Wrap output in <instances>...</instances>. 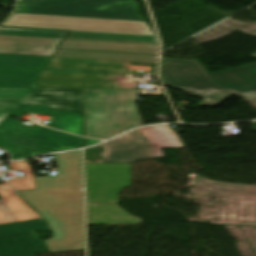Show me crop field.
<instances>
[{
  "label": "crop field",
  "mask_w": 256,
  "mask_h": 256,
  "mask_svg": "<svg viewBox=\"0 0 256 256\" xmlns=\"http://www.w3.org/2000/svg\"><path fill=\"white\" fill-rule=\"evenodd\" d=\"M56 156V177L36 178L37 190L18 192L50 226L49 252L85 250L82 151Z\"/></svg>",
  "instance_id": "obj_1"
},
{
  "label": "crop field",
  "mask_w": 256,
  "mask_h": 256,
  "mask_svg": "<svg viewBox=\"0 0 256 256\" xmlns=\"http://www.w3.org/2000/svg\"><path fill=\"white\" fill-rule=\"evenodd\" d=\"M197 61L162 58L161 78L165 86L202 97L199 105L212 108L234 94L256 97V63L207 75Z\"/></svg>",
  "instance_id": "obj_2"
},
{
  "label": "crop field",
  "mask_w": 256,
  "mask_h": 256,
  "mask_svg": "<svg viewBox=\"0 0 256 256\" xmlns=\"http://www.w3.org/2000/svg\"><path fill=\"white\" fill-rule=\"evenodd\" d=\"M138 89H84L85 134L107 139L141 126Z\"/></svg>",
  "instance_id": "obj_3"
},
{
  "label": "crop field",
  "mask_w": 256,
  "mask_h": 256,
  "mask_svg": "<svg viewBox=\"0 0 256 256\" xmlns=\"http://www.w3.org/2000/svg\"><path fill=\"white\" fill-rule=\"evenodd\" d=\"M50 230L43 218L8 185L0 186V256H36L48 252L34 231Z\"/></svg>",
  "instance_id": "obj_4"
},
{
  "label": "crop field",
  "mask_w": 256,
  "mask_h": 256,
  "mask_svg": "<svg viewBox=\"0 0 256 256\" xmlns=\"http://www.w3.org/2000/svg\"><path fill=\"white\" fill-rule=\"evenodd\" d=\"M161 148H183L168 126L143 128L105 144L104 163H134L165 157Z\"/></svg>",
  "instance_id": "obj_5"
},
{
  "label": "crop field",
  "mask_w": 256,
  "mask_h": 256,
  "mask_svg": "<svg viewBox=\"0 0 256 256\" xmlns=\"http://www.w3.org/2000/svg\"><path fill=\"white\" fill-rule=\"evenodd\" d=\"M2 25L153 35L146 22L56 17L14 13Z\"/></svg>",
  "instance_id": "obj_6"
},
{
  "label": "crop field",
  "mask_w": 256,
  "mask_h": 256,
  "mask_svg": "<svg viewBox=\"0 0 256 256\" xmlns=\"http://www.w3.org/2000/svg\"><path fill=\"white\" fill-rule=\"evenodd\" d=\"M15 12L144 21L134 0H81L49 8L17 3Z\"/></svg>",
  "instance_id": "obj_7"
},
{
  "label": "crop field",
  "mask_w": 256,
  "mask_h": 256,
  "mask_svg": "<svg viewBox=\"0 0 256 256\" xmlns=\"http://www.w3.org/2000/svg\"><path fill=\"white\" fill-rule=\"evenodd\" d=\"M36 89H0V123ZM26 102L82 114V90L38 89Z\"/></svg>",
  "instance_id": "obj_8"
},
{
  "label": "crop field",
  "mask_w": 256,
  "mask_h": 256,
  "mask_svg": "<svg viewBox=\"0 0 256 256\" xmlns=\"http://www.w3.org/2000/svg\"><path fill=\"white\" fill-rule=\"evenodd\" d=\"M127 187L130 164H87L88 203H118V194Z\"/></svg>",
  "instance_id": "obj_9"
},
{
  "label": "crop field",
  "mask_w": 256,
  "mask_h": 256,
  "mask_svg": "<svg viewBox=\"0 0 256 256\" xmlns=\"http://www.w3.org/2000/svg\"><path fill=\"white\" fill-rule=\"evenodd\" d=\"M50 57L0 54V88H36Z\"/></svg>",
  "instance_id": "obj_10"
},
{
  "label": "crop field",
  "mask_w": 256,
  "mask_h": 256,
  "mask_svg": "<svg viewBox=\"0 0 256 256\" xmlns=\"http://www.w3.org/2000/svg\"><path fill=\"white\" fill-rule=\"evenodd\" d=\"M0 128L22 131L25 134L46 143L56 151L84 147V140L82 137L62 133L41 126H24L21 125L19 121L9 117L4 120V122L0 125Z\"/></svg>",
  "instance_id": "obj_11"
},
{
  "label": "crop field",
  "mask_w": 256,
  "mask_h": 256,
  "mask_svg": "<svg viewBox=\"0 0 256 256\" xmlns=\"http://www.w3.org/2000/svg\"><path fill=\"white\" fill-rule=\"evenodd\" d=\"M26 111L51 116L53 118L49 125L50 127L83 136V116L82 115L22 102L10 114V116L20 118Z\"/></svg>",
  "instance_id": "obj_12"
},
{
  "label": "crop field",
  "mask_w": 256,
  "mask_h": 256,
  "mask_svg": "<svg viewBox=\"0 0 256 256\" xmlns=\"http://www.w3.org/2000/svg\"><path fill=\"white\" fill-rule=\"evenodd\" d=\"M61 41L0 35V53L52 56Z\"/></svg>",
  "instance_id": "obj_13"
},
{
  "label": "crop field",
  "mask_w": 256,
  "mask_h": 256,
  "mask_svg": "<svg viewBox=\"0 0 256 256\" xmlns=\"http://www.w3.org/2000/svg\"><path fill=\"white\" fill-rule=\"evenodd\" d=\"M0 146L10 151L13 159L54 151L46 144L16 130L0 129Z\"/></svg>",
  "instance_id": "obj_14"
},
{
  "label": "crop field",
  "mask_w": 256,
  "mask_h": 256,
  "mask_svg": "<svg viewBox=\"0 0 256 256\" xmlns=\"http://www.w3.org/2000/svg\"><path fill=\"white\" fill-rule=\"evenodd\" d=\"M141 220L117 204H88V225H140Z\"/></svg>",
  "instance_id": "obj_15"
},
{
  "label": "crop field",
  "mask_w": 256,
  "mask_h": 256,
  "mask_svg": "<svg viewBox=\"0 0 256 256\" xmlns=\"http://www.w3.org/2000/svg\"><path fill=\"white\" fill-rule=\"evenodd\" d=\"M59 49L134 52L152 55L158 54V46L96 41L65 40Z\"/></svg>",
  "instance_id": "obj_16"
},
{
  "label": "crop field",
  "mask_w": 256,
  "mask_h": 256,
  "mask_svg": "<svg viewBox=\"0 0 256 256\" xmlns=\"http://www.w3.org/2000/svg\"><path fill=\"white\" fill-rule=\"evenodd\" d=\"M54 57L86 58V59H102V60H115V61H126V62L157 63V56L135 55V54L57 51V53L54 55Z\"/></svg>",
  "instance_id": "obj_17"
},
{
  "label": "crop field",
  "mask_w": 256,
  "mask_h": 256,
  "mask_svg": "<svg viewBox=\"0 0 256 256\" xmlns=\"http://www.w3.org/2000/svg\"><path fill=\"white\" fill-rule=\"evenodd\" d=\"M66 38L156 43L154 36L69 31Z\"/></svg>",
  "instance_id": "obj_18"
},
{
  "label": "crop field",
  "mask_w": 256,
  "mask_h": 256,
  "mask_svg": "<svg viewBox=\"0 0 256 256\" xmlns=\"http://www.w3.org/2000/svg\"><path fill=\"white\" fill-rule=\"evenodd\" d=\"M0 34L15 35V36L44 37V38H64L66 32L47 31V30H22V29H10V28L0 27Z\"/></svg>",
  "instance_id": "obj_19"
},
{
  "label": "crop field",
  "mask_w": 256,
  "mask_h": 256,
  "mask_svg": "<svg viewBox=\"0 0 256 256\" xmlns=\"http://www.w3.org/2000/svg\"><path fill=\"white\" fill-rule=\"evenodd\" d=\"M10 168L21 170L24 173L25 179H19V180L9 182L10 184H12L15 187L16 190L34 189L35 188L34 180L32 178V174H31L29 165H27L24 162L13 163V164H10Z\"/></svg>",
  "instance_id": "obj_20"
},
{
  "label": "crop field",
  "mask_w": 256,
  "mask_h": 256,
  "mask_svg": "<svg viewBox=\"0 0 256 256\" xmlns=\"http://www.w3.org/2000/svg\"><path fill=\"white\" fill-rule=\"evenodd\" d=\"M131 65L152 67L151 72H153V68H154V64H151V63H132ZM134 72H140V71H129V74ZM134 84H137V83L136 82H102L100 88H136L137 85L133 86Z\"/></svg>",
  "instance_id": "obj_21"
},
{
  "label": "crop field",
  "mask_w": 256,
  "mask_h": 256,
  "mask_svg": "<svg viewBox=\"0 0 256 256\" xmlns=\"http://www.w3.org/2000/svg\"><path fill=\"white\" fill-rule=\"evenodd\" d=\"M104 144L86 150V162L87 163H103Z\"/></svg>",
  "instance_id": "obj_22"
},
{
  "label": "crop field",
  "mask_w": 256,
  "mask_h": 256,
  "mask_svg": "<svg viewBox=\"0 0 256 256\" xmlns=\"http://www.w3.org/2000/svg\"><path fill=\"white\" fill-rule=\"evenodd\" d=\"M77 0H18L20 3H26V4H32V5H38V6H44L49 7L53 5L63 4L67 2H72Z\"/></svg>",
  "instance_id": "obj_23"
},
{
  "label": "crop field",
  "mask_w": 256,
  "mask_h": 256,
  "mask_svg": "<svg viewBox=\"0 0 256 256\" xmlns=\"http://www.w3.org/2000/svg\"><path fill=\"white\" fill-rule=\"evenodd\" d=\"M97 142H100V141L86 139V147L90 146V145H92L94 143H97Z\"/></svg>",
  "instance_id": "obj_24"
},
{
  "label": "crop field",
  "mask_w": 256,
  "mask_h": 256,
  "mask_svg": "<svg viewBox=\"0 0 256 256\" xmlns=\"http://www.w3.org/2000/svg\"><path fill=\"white\" fill-rule=\"evenodd\" d=\"M251 56H254V57H256V53L252 54Z\"/></svg>",
  "instance_id": "obj_25"
}]
</instances>
